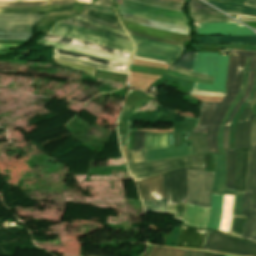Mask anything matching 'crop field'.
<instances>
[{"label": "crop field", "instance_id": "34b2d1b8", "mask_svg": "<svg viewBox=\"0 0 256 256\" xmlns=\"http://www.w3.org/2000/svg\"><path fill=\"white\" fill-rule=\"evenodd\" d=\"M49 35L85 40L125 52H133L132 43L108 34L57 22Z\"/></svg>", "mask_w": 256, "mask_h": 256}, {"label": "crop field", "instance_id": "7b73153f", "mask_svg": "<svg viewBox=\"0 0 256 256\" xmlns=\"http://www.w3.org/2000/svg\"><path fill=\"white\" fill-rule=\"evenodd\" d=\"M255 64H256V58H252L250 63V69L255 70Z\"/></svg>", "mask_w": 256, "mask_h": 256}, {"label": "crop field", "instance_id": "c035e120", "mask_svg": "<svg viewBox=\"0 0 256 256\" xmlns=\"http://www.w3.org/2000/svg\"><path fill=\"white\" fill-rule=\"evenodd\" d=\"M139 2H143L150 5H155L159 7L169 8L173 10H181V7L183 4L180 3H174V2H168V1H162V0H135Z\"/></svg>", "mask_w": 256, "mask_h": 256}, {"label": "crop field", "instance_id": "0f1d7ab4", "mask_svg": "<svg viewBox=\"0 0 256 256\" xmlns=\"http://www.w3.org/2000/svg\"><path fill=\"white\" fill-rule=\"evenodd\" d=\"M244 6H248V7H251V8H256V5L250 4V3H247V2L244 3Z\"/></svg>", "mask_w": 256, "mask_h": 256}, {"label": "crop field", "instance_id": "78b8030e", "mask_svg": "<svg viewBox=\"0 0 256 256\" xmlns=\"http://www.w3.org/2000/svg\"><path fill=\"white\" fill-rule=\"evenodd\" d=\"M256 100V93L254 94L253 98L251 99L250 103L247 105L246 108H250V106L253 104V102Z\"/></svg>", "mask_w": 256, "mask_h": 256}, {"label": "crop field", "instance_id": "3316defc", "mask_svg": "<svg viewBox=\"0 0 256 256\" xmlns=\"http://www.w3.org/2000/svg\"><path fill=\"white\" fill-rule=\"evenodd\" d=\"M167 204L187 202L186 166L163 173Z\"/></svg>", "mask_w": 256, "mask_h": 256}, {"label": "crop field", "instance_id": "1d83c4d3", "mask_svg": "<svg viewBox=\"0 0 256 256\" xmlns=\"http://www.w3.org/2000/svg\"><path fill=\"white\" fill-rule=\"evenodd\" d=\"M224 153H226V188L234 189L236 153L235 150H224Z\"/></svg>", "mask_w": 256, "mask_h": 256}, {"label": "crop field", "instance_id": "b54c1fbb", "mask_svg": "<svg viewBox=\"0 0 256 256\" xmlns=\"http://www.w3.org/2000/svg\"><path fill=\"white\" fill-rule=\"evenodd\" d=\"M52 57L53 58H57V59H62V60H67V61H72V62H77V63H81V64L93 66V67H97V68L103 69V70H108V71H114V72H120V73L128 74V72H126V71L117 70V69H113V68H109V67H104V66H100V65H96V64H92V63L76 60V59H71V58H66V57H61V56H55V55H52Z\"/></svg>", "mask_w": 256, "mask_h": 256}, {"label": "crop field", "instance_id": "89e229c0", "mask_svg": "<svg viewBox=\"0 0 256 256\" xmlns=\"http://www.w3.org/2000/svg\"><path fill=\"white\" fill-rule=\"evenodd\" d=\"M127 31L130 34H134V35H137V36H141V37H144V38H148V39H152V40H156V41H160V42H164V43H168V44H172V45H176V46H181L182 47V45H183V44L177 43V42H172V41H167V40H163V39H158V38H153V37L145 36V35H142V34H139V33L133 32V31H130V30H127Z\"/></svg>", "mask_w": 256, "mask_h": 256}, {"label": "crop field", "instance_id": "d1516ede", "mask_svg": "<svg viewBox=\"0 0 256 256\" xmlns=\"http://www.w3.org/2000/svg\"><path fill=\"white\" fill-rule=\"evenodd\" d=\"M43 15H0V33L32 32Z\"/></svg>", "mask_w": 256, "mask_h": 256}, {"label": "crop field", "instance_id": "730fd06b", "mask_svg": "<svg viewBox=\"0 0 256 256\" xmlns=\"http://www.w3.org/2000/svg\"><path fill=\"white\" fill-rule=\"evenodd\" d=\"M53 54L66 56V57H71V58H76V59H81V60H85V61H89V62H93V63H97V64L109 66V67H114V68H120V69L127 70V65H125V64L110 62V61H106V60H102V59H99V58H95V57H91V56H87V55H82V54H78V53H74V52H70V51L59 50V49L54 48Z\"/></svg>", "mask_w": 256, "mask_h": 256}, {"label": "crop field", "instance_id": "5866460e", "mask_svg": "<svg viewBox=\"0 0 256 256\" xmlns=\"http://www.w3.org/2000/svg\"><path fill=\"white\" fill-rule=\"evenodd\" d=\"M248 73L249 71H244V74H243V79H242V85H241V89L238 93V95L236 96V98L234 99V101L231 103L227 113H226V116L219 128V132H218V143H219V150H220V153H223V144H222V134H223V127H224V124L232 110V108L234 107V105L237 103V101L240 99V97L244 94L245 92V89H246V84H247V78H248Z\"/></svg>", "mask_w": 256, "mask_h": 256}, {"label": "crop field", "instance_id": "d14b1444", "mask_svg": "<svg viewBox=\"0 0 256 256\" xmlns=\"http://www.w3.org/2000/svg\"><path fill=\"white\" fill-rule=\"evenodd\" d=\"M171 1H176V2L185 3V0H171Z\"/></svg>", "mask_w": 256, "mask_h": 256}, {"label": "crop field", "instance_id": "ade564c9", "mask_svg": "<svg viewBox=\"0 0 256 256\" xmlns=\"http://www.w3.org/2000/svg\"><path fill=\"white\" fill-rule=\"evenodd\" d=\"M70 12H73V13H75V14H77V13H78V12H74V11H70ZM73 13H72V14H73Z\"/></svg>", "mask_w": 256, "mask_h": 256}, {"label": "crop field", "instance_id": "f4fd0767", "mask_svg": "<svg viewBox=\"0 0 256 256\" xmlns=\"http://www.w3.org/2000/svg\"><path fill=\"white\" fill-rule=\"evenodd\" d=\"M116 6L118 11L138 17L189 27V21L178 11L148 6L130 0H123V5Z\"/></svg>", "mask_w": 256, "mask_h": 256}, {"label": "crop field", "instance_id": "22f410ed", "mask_svg": "<svg viewBox=\"0 0 256 256\" xmlns=\"http://www.w3.org/2000/svg\"><path fill=\"white\" fill-rule=\"evenodd\" d=\"M186 206L187 204L167 205L169 213L175 214V218L181 220L185 218ZM209 211V209L188 204L185 222L193 226L206 227Z\"/></svg>", "mask_w": 256, "mask_h": 256}, {"label": "crop field", "instance_id": "dbb93151", "mask_svg": "<svg viewBox=\"0 0 256 256\" xmlns=\"http://www.w3.org/2000/svg\"><path fill=\"white\" fill-rule=\"evenodd\" d=\"M203 254H204V252H202V251L185 249L184 256H203Z\"/></svg>", "mask_w": 256, "mask_h": 256}, {"label": "crop field", "instance_id": "e52e79f7", "mask_svg": "<svg viewBox=\"0 0 256 256\" xmlns=\"http://www.w3.org/2000/svg\"><path fill=\"white\" fill-rule=\"evenodd\" d=\"M142 200L165 198L162 174L135 181ZM146 211L168 213L165 199L143 201Z\"/></svg>", "mask_w": 256, "mask_h": 256}, {"label": "crop field", "instance_id": "db79e9e6", "mask_svg": "<svg viewBox=\"0 0 256 256\" xmlns=\"http://www.w3.org/2000/svg\"><path fill=\"white\" fill-rule=\"evenodd\" d=\"M238 19L241 21H256V18H250V17H239Z\"/></svg>", "mask_w": 256, "mask_h": 256}, {"label": "crop field", "instance_id": "5142ce71", "mask_svg": "<svg viewBox=\"0 0 256 256\" xmlns=\"http://www.w3.org/2000/svg\"><path fill=\"white\" fill-rule=\"evenodd\" d=\"M253 117L254 114L249 109H245L239 118L235 134V148H250V127Z\"/></svg>", "mask_w": 256, "mask_h": 256}, {"label": "crop field", "instance_id": "73cf0c24", "mask_svg": "<svg viewBox=\"0 0 256 256\" xmlns=\"http://www.w3.org/2000/svg\"><path fill=\"white\" fill-rule=\"evenodd\" d=\"M188 7L216 11V10L212 9L211 7H209L208 5H206L205 3H203L199 0H191Z\"/></svg>", "mask_w": 256, "mask_h": 256}, {"label": "crop field", "instance_id": "d8731c3e", "mask_svg": "<svg viewBox=\"0 0 256 256\" xmlns=\"http://www.w3.org/2000/svg\"><path fill=\"white\" fill-rule=\"evenodd\" d=\"M188 203L210 209V190L213 173L188 170Z\"/></svg>", "mask_w": 256, "mask_h": 256}, {"label": "crop field", "instance_id": "1f2cbd36", "mask_svg": "<svg viewBox=\"0 0 256 256\" xmlns=\"http://www.w3.org/2000/svg\"><path fill=\"white\" fill-rule=\"evenodd\" d=\"M75 18L80 19V20L85 21V22H88V23H90V24H93V25L99 26V27L104 28V29H108V30H111V31H114V32H117V33H120V34H123V35H126V34H125V33H123V32H120V31H117V30L111 29V28H109V27H106V26L100 25V24L95 23V22L90 21V20L83 19V18H81V17H79V16H76Z\"/></svg>", "mask_w": 256, "mask_h": 256}, {"label": "crop field", "instance_id": "92a150f3", "mask_svg": "<svg viewBox=\"0 0 256 256\" xmlns=\"http://www.w3.org/2000/svg\"><path fill=\"white\" fill-rule=\"evenodd\" d=\"M198 43H202V44L240 43V44L256 45V36H201Z\"/></svg>", "mask_w": 256, "mask_h": 256}, {"label": "crop field", "instance_id": "425ffa30", "mask_svg": "<svg viewBox=\"0 0 256 256\" xmlns=\"http://www.w3.org/2000/svg\"><path fill=\"white\" fill-rule=\"evenodd\" d=\"M170 70L175 71V72H179V73H183V74H186V75H189V76L201 78V79H204V80H207V81H212V79H213V77H211V76H205V75L197 74V73L190 72V71H187V70H184V69H180V68H177V67H174V66H171Z\"/></svg>", "mask_w": 256, "mask_h": 256}, {"label": "crop field", "instance_id": "ac0d7876", "mask_svg": "<svg viewBox=\"0 0 256 256\" xmlns=\"http://www.w3.org/2000/svg\"><path fill=\"white\" fill-rule=\"evenodd\" d=\"M193 54L194 52L186 51L172 65L190 70ZM227 61L228 56L219 55V53L195 52L191 71L214 76V81L213 85L195 82L192 89L226 93Z\"/></svg>", "mask_w": 256, "mask_h": 256}, {"label": "crop field", "instance_id": "5d738f31", "mask_svg": "<svg viewBox=\"0 0 256 256\" xmlns=\"http://www.w3.org/2000/svg\"><path fill=\"white\" fill-rule=\"evenodd\" d=\"M31 37H32V33L0 34V40H28Z\"/></svg>", "mask_w": 256, "mask_h": 256}, {"label": "crop field", "instance_id": "00972430", "mask_svg": "<svg viewBox=\"0 0 256 256\" xmlns=\"http://www.w3.org/2000/svg\"><path fill=\"white\" fill-rule=\"evenodd\" d=\"M73 7L74 5L20 8V9H0V14H48V13L72 10Z\"/></svg>", "mask_w": 256, "mask_h": 256}, {"label": "crop field", "instance_id": "028f5c9d", "mask_svg": "<svg viewBox=\"0 0 256 256\" xmlns=\"http://www.w3.org/2000/svg\"><path fill=\"white\" fill-rule=\"evenodd\" d=\"M233 200L234 196H224L223 216L219 229L227 233L229 232L231 224Z\"/></svg>", "mask_w": 256, "mask_h": 256}, {"label": "crop field", "instance_id": "8a807250", "mask_svg": "<svg viewBox=\"0 0 256 256\" xmlns=\"http://www.w3.org/2000/svg\"><path fill=\"white\" fill-rule=\"evenodd\" d=\"M226 76V96L220 103L203 102L199 123L192 133H207V145L210 152H219L217 144V131L224 115L237 95L243 74L246 57H256V52L231 50Z\"/></svg>", "mask_w": 256, "mask_h": 256}, {"label": "crop field", "instance_id": "e1f06a70", "mask_svg": "<svg viewBox=\"0 0 256 256\" xmlns=\"http://www.w3.org/2000/svg\"><path fill=\"white\" fill-rule=\"evenodd\" d=\"M191 148L194 154L207 153L206 134H191Z\"/></svg>", "mask_w": 256, "mask_h": 256}, {"label": "crop field", "instance_id": "cbeb9de0", "mask_svg": "<svg viewBox=\"0 0 256 256\" xmlns=\"http://www.w3.org/2000/svg\"><path fill=\"white\" fill-rule=\"evenodd\" d=\"M195 25L197 35H255L247 28L236 22L223 23H192Z\"/></svg>", "mask_w": 256, "mask_h": 256}, {"label": "crop field", "instance_id": "b80d0937", "mask_svg": "<svg viewBox=\"0 0 256 256\" xmlns=\"http://www.w3.org/2000/svg\"><path fill=\"white\" fill-rule=\"evenodd\" d=\"M60 22L69 23V24H74V25H78V26H82V27H86V28H90V29L102 31V32H105V33H108V34L117 36V37H119V38H122V39H124V40H129L128 38H126V37H124V36L118 35V34L113 33V32H111V31H107V30L101 29V28H99V27L90 25V24H88V23L79 21V20L74 19V18L67 19V20H62V21H60Z\"/></svg>", "mask_w": 256, "mask_h": 256}, {"label": "crop field", "instance_id": "4177f3b9", "mask_svg": "<svg viewBox=\"0 0 256 256\" xmlns=\"http://www.w3.org/2000/svg\"><path fill=\"white\" fill-rule=\"evenodd\" d=\"M246 190H252L254 209L256 208V146L249 149Z\"/></svg>", "mask_w": 256, "mask_h": 256}, {"label": "crop field", "instance_id": "e1d0b9f6", "mask_svg": "<svg viewBox=\"0 0 256 256\" xmlns=\"http://www.w3.org/2000/svg\"><path fill=\"white\" fill-rule=\"evenodd\" d=\"M249 62H250V58H247L246 64H245V69H248V68H249Z\"/></svg>", "mask_w": 256, "mask_h": 256}, {"label": "crop field", "instance_id": "0bd39190", "mask_svg": "<svg viewBox=\"0 0 256 256\" xmlns=\"http://www.w3.org/2000/svg\"><path fill=\"white\" fill-rule=\"evenodd\" d=\"M184 249L154 246L149 256H183Z\"/></svg>", "mask_w": 256, "mask_h": 256}, {"label": "crop field", "instance_id": "dafd665d", "mask_svg": "<svg viewBox=\"0 0 256 256\" xmlns=\"http://www.w3.org/2000/svg\"><path fill=\"white\" fill-rule=\"evenodd\" d=\"M248 149H237L236 189L245 191Z\"/></svg>", "mask_w": 256, "mask_h": 256}, {"label": "crop field", "instance_id": "214f88e0", "mask_svg": "<svg viewBox=\"0 0 256 256\" xmlns=\"http://www.w3.org/2000/svg\"><path fill=\"white\" fill-rule=\"evenodd\" d=\"M120 15L123 20L134 22V23L144 25L147 27L158 28V29L175 32V33H183V34L188 35L189 28H186V27H180V26L165 24V23H161V22L146 20V19L138 18V17L132 16L129 14H125V13H120Z\"/></svg>", "mask_w": 256, "mask_h": 256}, {"label": "crop field", "instance_id": "d32e631a", "mask_svg": "<svg viewBox=\"0 0 256 256\" xmlns=\"http://www.w3.org/2000/svg\"><path fill=\"white\" fill-rule=\"evenodd\" d=\"M132 107L124 106L123 111L118 119V131L120 136L121 146H127V137L129 132L130 122H126Z\"/></svg>", "mask_w": 256, "mask_h": 256}, {"label": "crop field", "instance_id": "d23c7cc5", "mask_svg": "<svg viewBox=\"0 0 256 256\" xmlns=\"http://www.w3.org/2000/svg\"><path fill=\"white\" fill-rule=\"evenodd\" d=\"M144 162L141 151L128 150V164Z\"/></svg>", "mask_w": 256, "mask_h": 256}, {"label": "crop field", "instance_id": "0765c3eb", "mask_svg": "<svg viewBox=\"0 0 256 256\" xmlns=\"http://www.w3.org/2000/svg\"><path fill=\"white\" fill-rule=\"evenodd\" d=\"M225 254L205 252L204 256H224Z\"/></svg>", "mask_w": 256, "mask_h": 256}, {"label": "crop field", "instance_id": "447ae74e", "mask_svg": "<svg viewBox=\"0 0 256 256\" xmlns=\"http://www.w3.org/2000/svg\"><path fill=\"white\" fill-rule=\"evenodd\" d=\"M255 90H256V78H255V82H254V85H253L252 91H251V93H250L249 97H248V98H247V100H246L247 102H249V101H250V99L252 98V96H253V94H254Z\"/></svg>", "mask_w": 256, "mask_h": 256}, {"label": "crop field", "instance_id": "d3111659", "mask_svg": "<svg viewBox=\"0 0 256 256\" xmlns=\"http://www.w3.org/2000/svg\"><path fill=\"white\" fill-rule=\"evenodd\" d=\"M254 77H255V71H250L249 73V78H248V84H247V89H246V93L244 94V96L241 98V100L236 104V106L233 108L226 124H225V128H224V135H223V144H224V149H228V133H229V126H230V122L231 119L234 115V113L238 110V108L244 103L245 99L247 98V96L249 95L252 85H253V81H254Z\"/></svg>", "mask_w": 256, "mask_h": 256}, {"label": "crop field", "instance_id": "bc2a9ffb", "mask_svg": "<svg viewBox=\"0 0 256 256\" xmlns=\"http://www.w3.org/2000/svg\"><path fill=\"white\" fill-rule=\"evenodd\" d=\"M243 215L247 219L242 237L256 241V210H252L251 191L244 192Z\"/></svg>", "mask_w": 256, "mask_h": 256}, {"label": "crop field", "instance_id": "9d1cf04e", "mask_svg": "<svg viewBox=\"0 0 256 256\" xmlns=\"http://www.w3.org/2000/svg\"><path fill=\"white\" fill-rule=\"evenodd\" d=\"M94 5H99V6H111L110 0H99L97 1L96 4Z\"/></svg>", "mask_w": 256, "mask_h": 256}, {"label": "crop field", "instance_id": "c39391a2", "mask_svg": "<svg viewBox=\"0 0 256 256\" xmlns=\"http://www.w3.org/2000/svg\"><path fill=\"white\" fill-rule=\"evenodd\" d=\"M249 2H253V3H256V0H247Z\"/></svg>", "mask_w": 256, "mask_h": 256}, {"label": "crop field", "instance_id": "d9b57169", "mask_svg": "<svg viewBox=\"0 0 256 256\" xmlns=\"http://www.w3.org/2000/svg\"><path fill=\"white\" fill-rule=\"evenodd\" d=\"M122 22L125 28L145 34V35H149V36H154V37L168 39V40L182 42V43H185L187 40L193 38L191 36H187L183 34H175V33L167 32L163 30L147 28V27L140 26L134 23L123 21V20Z\"/></svg>", "mask_w": 256, "mask_h": 256}, {"label": "crop field", "instance_id": "412701ff", "mask_svg": "<svg viewBox=\"0 0 256 256\" xmlns=\"http://www.w3.org/2000/svg\"><path fill=\"white\" fill-rule=\"evenodd\" d=\"M187 165L188 169L204 171L203 154L184 156L176 159L142 163L128 166L134 180L156 175L160 172Z\"/></svg>", "mask_w": 256, "mask_h": 256}, {"label": "crop field", "instance_id": "4a817a6b", "mask_svg": "<svg viewBox=\"0 0 256 256\" xmlns=\"http://www.w3.org/2000/svg\"><path fill=\"white\" fill-rule=\"evenodd\" d=\"M205 231L182 226L176 247L200 249Z\"/></svg>", "mask_w": 256, "mask_h": 256}, {"label": "crop field", "instance_id": "120bbe31", "mask_svg": "<svg viewBox=\"0 0 256 256\" xmlns=\"http://www.w3.org/2000/svg\"><path fill=\"white\" fill-rule=\"evenodd\" d=\"M168 133L146 132L144 149L167 147Z\"/></svg>", "mask_w": 256, "mask_h": 256}, {"label": "crop field", "instance_id": "ae1a2a85", "mask_svg": "<svg viewBox=\"0 0 256 256\" xmlns=\"http://www.w3.org/2000/svg\"><path fill=\"white\" fill-rule=\"evenodd\" d=\"M189 14L193 21H200V22L233 21L230 18L226 17L225 15L217 12L189 9Z\"/></svg>", "mask_w": 256, "mask_h": 256}, {"label": "crop field", "instance_id": "733c2abd", "mask_svg": "<svg viewBox=\"0 0 256 256\" xmlns=\"http://www.w3.org/2000/svg\"><path fill=\"white\" fill-rule=\"evenodd\" d=\"M146 162L192 154L190 146H176L155 150H143Z\"/></svg>", "mask_w": 256, "mask_h": 256}, {"label": "crop field", "instance_id": "c5b07064", "mask_svg": "<svg viewBox=\"0 0 256 256\" xmlns=\"http://www.w3.org/2000/svg\"><path fill=\"white\" fill-rule=\"evenodd\" d=\"M226 256H229V255H226Z\"/></svg>", "mask_w": 256, "mask_h": 256}, {"label": "crop field", "instance_id": "dd49c442", "mask_svg": "<svg viewBox=\"0 0 256 256\" xmlns=\"http://www.w3.org/2000/svg\"><path fill=\"white\" fill-rule=\"evenodd\" d=\"M201 249L233 255L256 256V244L239 241L209 230Z\"/></svg>", "mask_w": 256, "mask_h": 256}, {"label": "crop field", "instance_id": "750c4746", "mask_svg": "<svg viewBox=\"0 0 256 256\" xmlns=\"http://www.w3.org/2000/svg\"><path fill=\"white\" fill-rule=\"evenodd\" d=\"M75 0H54V1H38V2H0V7L19 8V7H35L50 6L62 4H74Z\"/></svg>", "mask_w": 256, "mask_h": 256}, {"label": "crop field", "instance_id": "03da06ac", "mask_svg": "<svg viewBox=\"0 0 256 256\" xmlns=\"http://www.w3.org/2000/svg\"><path fill=\"white\" fill-rule=\"evenodd\" d=\"M82 14H86V15H90L93 16L99 20L105 21V22H109L112 24H115L117 26H119L116 18L114 16H110V15H106L103 13H99V12H94V11H90V10H85Z\"/></svg>", "mask_w": 256, "mask_h": 256}, {"label": "crop field", "instance_id": "28ad6ade", "mask_svg": "<svg viewBox=\"0 0 256 256\" xmlns=\"http://www.w3.org/2000/svg\"><path fill=\"white\" fill-rule=\"evenodd\" d=\"M225 179V154L215 153V175L212 192L235 195L233 214L242 215L243 192L224 189Z\"/></svg>", "mask_w": 256, "mask_h": 256}, {"label": "crop field", "instance_id": "1d79db26", "mask_svg": "<svg viewBox=\"0 0 256 256\" xmlns=\"http://www.w3.org/2000/svg\"><path fill=\"white\" fill-rule=\"evenodd\" d=\"M79 16H82V17H84V18H87V19L96 21V22H98V23L104 24V25H106V26H109V27H112V28H115V29L123 30L122 28L109 25V24H107V23H104V22H102V21H99V20H97V19H95V18H93V17H90V16H86V15H82V14H80Z\"/></svg>", "mask_w": 256, "mask_h": 256}, {"label": "crop field", "instance_id": "c21b1889", "mask_svg": "<svg viewBox=\"0 0 256 256\" xmlns=\"http://www.w3.org/2000/svg\"><path fill=\"white\" fill-rule=\"evenodd\" d=\"M245 218L233 215L230 234L242 236Z\"/></svg>", "mask_w": 256, "mask_h": 256}, {"label": "crop field", "instance_id": "0fb4a251", "mask_svg": "<svg viewBox=\"0 0 256 256\" xmlns=\"http://www.w3.org/2000/svg\"><path fill=\"white\" fill-rule=\"evenodd\" d=\"M251 143L252 146L256 145V117L252 128Z\"/></svg>", "mask_w": 256, "mask_h": 256}, {"label": "crop field", "instance_id": "eef30255", "mask_svg": "<svg viewBox=\"0 0 256 256\" xmlns=\"http://www.w3.org/2000/svg\"><path fill=\"white\" fill-rule=\"evenodd\" d=\"M222 199L223 195L211 194V212L207 225L208 229L216 231L218 229L222 209Z\"/></svg>", "mask_w": 256, "mask_h": 256}, {"label": "crop field", "instance_id": "ae633e8c", "mask_svg": "<svg viewBox=\"0 0 256 256\" xmlns=\"http://www.w3.org/2000/svg\"><path fill=\"white\" fill-rule=\"evenodd\" d=\"M77 1L91 3V0H77Z\"/></svg>", "mask_w": 256, "mask_h": 256}, {"label": "crop field", "instance_id": "25e5ab78", "mask_svg": "<svg viewBox=\"0 0 256 256\" xmlns=\"http://www.w3.org/2000/svg\"><path fill=\"white\" fill-rule=\"evenodd\" d=\"M144 135H145V132L136 131L135 139H134V145H133L134 150L143 149Z\"/></svg>", "mask_w": 256, "mask_h": 256}, {"label": "crop field", "instance_id": "a9b5d70f", "mask_svg": "<svg viewBox=\"0 0 256 256\" xmlns=\"http://www.w3.org/2000/svg\"><path fill=\"white\" fill-rule=\"evenodd\" d=\"M42 39L43 40H49V41H55V42H61V43L80 45V46L88 47V48H91V49H95V50H98V51H102V52H106V53H110V54H115V55H121V56H127V57L131 56L130 53L116 51V50L109 49V48H106V47H103V46H100V45H96V44H93V43L84 42V41H80V40L67 39V38H61V37H55V36H49V35L44 36Z\"/></svg>", "mask_w": 256, "mask_h": 256}, {"label": "crop field", "instance_id": "bd1437ed", "mask_svg": "<svg viewBox=\"0 0 256 256\" xmlns=\"http://www.w3.org/2000/svg\"><path fill=\"white\" fill-rule=\"evenodd\" d=\"M207 2L217 6L218 8L226 11L227 13L256 16V9L247 8V7L229 3V2H215V1H207Z\"/></svg>", "mask_w": 256, "mask_h": 256}, {"label": "crop field", "instance_id": "5a996713", "mask_svg": "<svg viewBox=\"0 0 256 256\" xmlns=\"http://www.w3.org/2000/svg\"><path fill=\"white\" fill-rule=\"evenodd\" d=\"M136 44L137 56L157 59L171 63L176 57H178L185 48H180L172 45H167L159 42L145 40L133 35H130Z\"/></svg>", "mask_w": 256, "mask_h": 256}]
</instances>
